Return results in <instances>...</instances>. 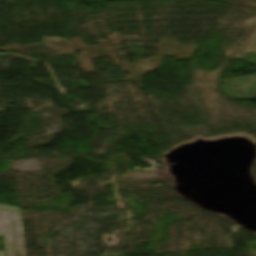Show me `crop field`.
Wrapping results in <instances>:
<instances>
[{
	"mask_svg": "<svg viewBox=\"0 0 256 256\" xmlns=\"http://www.w3.org/2000/svg\"><path fill=\"white\" fill-rule=\"evenodd\" d=\"M14 239V246L11 248L12 256H26L24 244H19L18 241Z\"/></svg>",
	"mask_w": 256,
	"mask_h": 256,
	"instance_id": "8a807250",
	"label": "crop field"
}]
</instances>
